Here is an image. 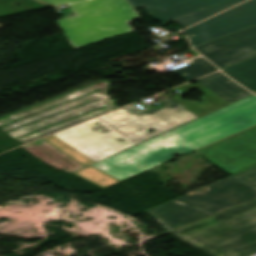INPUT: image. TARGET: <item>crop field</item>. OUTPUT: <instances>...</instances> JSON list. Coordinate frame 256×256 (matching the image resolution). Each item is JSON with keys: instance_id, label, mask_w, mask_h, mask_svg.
I'll return each mask as SVG.
<instances>
[{"instance_id": "obj_1", "label": "crop field", "mask_w": 256, "mask_h": 256, "mask_svg": "<svg viewBox=\"0 0 256 256\" xmlns=\"http://www.w3.org/2000/svg\"><path fill=\"white\" fill-rule=\"evenodd\" d=\"M255 124L251 95L73 173L105 188Z\"/></svg>"}, {"instance_id": "obj_2", "label": "crop field", "mask_w": 256, "mask_h": 256, "mask_svg": "<svg viewBox=\"0 0 256 256\" xmlns=\"http://www.w3.org/2000/svg\"><path fill=\"white\" fill-rule=\"evenodd\" d=\"M158 103L164 109L132 105L43 139L85 167L197 118L171 97Z\"/></svg>"}, {"instance_id": "obj_3", "label": "crop field", "mask_w": 256, "mask_h": 256, "mask_svg": "<svg viewBox=\"0 0 256 256\" xmlns=\"http://www.w3.org/2000/svg\"><path fill=\"white\" fill-rule=\"evenodd\" d=\"M256 198V166L210 185L200 195L185 194L146 210L168 232Z\"/></svg>"}, {"instance_id": "obj_4", "label": "crop field", "mask_w": 256, "mask_h": 256, "mask_svg": "<svg viewBox=\"0 0 256 256\" xmlns=\"http://www.w3.org/2000/svg\"><path fill=\"white\" fill-rule=\"evenodd\" d=\"M171 233L209 256H246L256 252V199Z\"/></svg>"}, {"instance_id": "obj_5", "label": "crop field", "mask_w": 256, "mask_h": 256, "mask_svg": "<svg viewBox=\"0 0 256 256\" xmlns=\"http://www.w3.org/2000/svg\"><path fill=\"white\" fill-rule=\"evenodd\" d=\"M68 5L78 16L57 22L75 48L132 31L125 21L139 18L126 0H85Z\"/></svg>"}, {"instance_id": "obj_6", "label": "crop field", "mask_w": 256, "mask_h": 256, "mask_svg": "<svg viewBox=\"0 0 256 256\" xmlns=\"http://www.w3.org/2000/svg\"><path fill=\"white\" fill-rule=\"evenodd\" d=\"M231 174L256 165V126L198 150Z\"/></svg>"}, {"instance_id": "obj_7", "label": "crop field", "mask_w": 256, "mask_h": 256, "mask_svg": "<svg viewBox=\"0 0 256 256\" xmlns=\"http://www.w3.org/2000/svg\"><path fill=\"white\" fill-rule=\"evenodd\" d=\"M256 24V0H250L195 27L184 30L192 46Z\"/></svg>"}, {"instance_id": "obj_8", "label": "crop field", "mask_w": 256, "mask_h": 256, "mask_svg": "<svg viewBox=\"0 0 256 256\" xmlns=\"http://www.w3.org/2000/svg\"><path fill=\"white\" fill-rule=\"evenodd\" d=\"M220 69L256 55V25L194 47Z\"/></svg>"}, {"instance_id": "obj_9", "label": "crop field", "mask_w": 256, "mask_h": 256, "mask_svg": "<svg viewBox=\"0 0 256 256\" xmlns=\"http://www.w3.org/2000/svg\"><path fill=\"white\" fill-rule=\"evenodd\" d=\"M133 8L144 6L154 19L164 22L234 0H127Z\"/></svg>"}, {"instance_id": "obj_10", "label": "crop field", "mask_w": 256, "mask_h": 256, "mask_svg": "<svg viewBox=\"0 0 256 256\" xmlns=\"http://www.w3.org/2000/svg\"><path fill=\"white\" fill-rule=\"evenodd\" d=\"M194 88L198 89L199 91L205 94L204 96L199 98L202 100L201 103L198 101L189 102V101L182 100L183 95L173 97V98L198 117L229 105L222 98H220L219 96H217L216 94H214L213 92H211L210 90H208L207 88H205L199 83L194 85L188 83V84L179 86L177 88H174L172 90H178L184 93Z\"/></svg>"}, {"instance_id": "obj_11", "label": "crop field", "mask_w": 256, "mask_h": 256, "mask_svg": "<svg viewBox=\"0 0 256 256\" xmlns=\"http://www.w3.org/2000/svg\"><path fill=\"white\" fill-rule=\"evenodd\" d=\"M197 81L230 104L251 95L250 92L237 85L220 72L205 76Z\"/></svg>"}, {"instance_id": "obj_12", "label": "crop field", "mask_w": 256, "mask_h": 256, "mask_svg": "<svg viewBox=\"0 0 256 256\" xmlns=\"http://www.w3.org/2000/svg\"><path fill=\"white\" fill-rule=\"evenodd\" d=\"M245 88L256 93V56L222 69Z\"/></svg>"}, {"instance_id": "obj_13", "label": "crop field", "mask_w": 256, "mask_h": 256, "mask_svg": "<svg viewBox=\"0 0 256 256\" xmlns=\"http://www.w3.org/2000/svg\"><path fill=\"white\" fill-rule=\"evenodd\" d=\"M245 0H237V1H234V2H230V3H227V4H224V5H220V6H217V7H214V8H211V9H207V10H204V11H201V12H197V13H194V14H191V15H187V16H184V17H181V18H177V19H174V20H171V21H167V22H164V23H161V25H166L168 23H172V22H176L178 23L179 25H181L182 27L184 28H187L195 23H198L228 7H231L233 5H236L238 3H241Z\"/></svg>"}, {"instance_id": "obj_14", "label": "crop field", "mask_w": 256, "mask_h": 256, "mask_svg": "<svg viewBox=\"0 0 256 256\" xmlns=\"http://www.w3.org/2000/svg\"><path fill=\"white\" fill-rule=\"evenodd\" d=\"M192 61L193 62L189 66L174 70L175 73L180 75L185 80L189 81L196 77H199L209 72H212L214 70H217L213 65H211L202 57H199Z\"/></svg>"}, {"instance_id": "obj_15", "label": "crop field", "mask_w": 256, "mask_h": 256, "mask_svg": "<svg viewBox=\"0 0 256 256\" xmlns=\"http://www.w3.org/2000/svg\"><path fill=\"white\" fill-rule=\"evenodd\" d=\"M42 1H45L53 5H59V4L69 3V2L79 1V0H42Z\"/></svg>"}, {"instance_id": "obj_16", "label": "crop field", "mask_w": 256, "mask_h": 256, "mask_svg": "<svg viewBox=\"0 0 256 256\" xmlns=\"http://www.w3.org/2000/svg\"><path fill=\"white\" fill-rule=\"evenodd\" d=\"M207 189H209V185L206 186V187H203V188H201V189L195 190V191H193V192H190V194H200V193L204 192V191L207 190Z\"/></svg>"}]
</instances>
